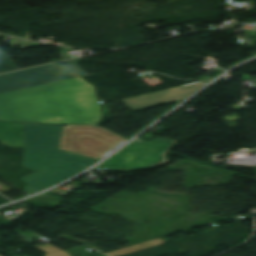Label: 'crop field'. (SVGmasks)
I'll list each match as a JSON object with an SVG mask.
<instances>
[{
    "mask_svg": "<svg viewBox=\"0 0 256 256\" xmlns=\"http://www.w3.org/2000/svg\"><path fill=\"white\" fill-rule=\"evenodd\" d=\"M175 143L165 139H155L149 142L136 139L98 167L144 169L165 162L164 154Z\"/></svg>",
    "mask_w": 256,
    "mask_h": 256,
    "instance_id": "crop-field-4",
    "label": "crop field"
},
{
    "mask_svg": "<svg viewBox=\"0 0 256 256\" xmlns=\"http://www.w3.org/2000/svg\"><path fill=\"white\" fill-rule=\"evenodd\" d=\"M88 73L76 62L56 66L54 64L0 75V93L22 88L80 77Z\"/></svg>",
    "mask_w": 256,
    "mask_h": 256,
    "instance_id": "crop-field-5",
    "label": "crop field"
},
{
    "mask_svg": "<svg viewBox=\"0 0 256 256\" xmlns=\"http://www.w3.org/2000/svg\"><path fill=\"white\" fill-rule=\"evenodd\" d=\"M63 127L64 125H24V155L21 166L38 171L20 179L28 184L24 190L27 194L53 186L97 161L58 149Z\"/></svg>",
    "mask_w": 256,
    "mask_h": 256,
    "instance_id": "crop-field-2",
    "label": "crop field"
},
{
    "mask_svg": "<svg viewBox=\"0 0 256 256\" xmlns=\"http://www.w3.org/2000/svg\"><path fill=\"white\" fill-rule=\"evenodd\" d=\"M201 83L195 82L163 91L136 96L122 100L133 111L149 108L152 106L182 100L200 89Z\"/></svg>",
    "mask_w": 256,
    "mask_h": 256,
    "instance_id": "crop-field-6",
    "label": "crop field"
},
{
    "mask_svg": "<svg viewBox=\"0 0 256 256\" xmlns=\"http://www.w3.org/2000/svg\"><path fill=\"white\" fill-rule=\"evenodd\" d=\"M16 67L9 58L7 53H3L0 49V73L15 70Z\"/></svg>",
    "mask_w": 256,
    "mask_h": 256,
    "instance_id": "crop-field-8",
    "label": "crop field"
},
{
    "mask_svg": "<svg viewBox=\"0 0 256 256\" xmlns=\"http://www.w3.org/2000/svg\"><path fill=\"white\" fill-rule=\"evenodd\" d=\"M0 143L12 148H23V124L0 122Z\"/></svg>",
    "mask_w": 256,
    "mask_h": 256,
    "instance_id": "crop-field-7",
    "label": "crop field"
},
{
    "mask_svg": "<svg viewBox=\"0 0 256 256\" xmlns=\"http://www.w3.org/2000/svg\"><path fill=\"white\" fill-rule=\"evenodd\" d=\"M127 140L99 126L65 125L59 148L99 160Z\"/></svg>",
    "mask_w": 256,
    "mask_h": 256,
    "instance_id": "crop-field-3",
    "label": "crop field"
},
{
    "mask_svg": "<svg viewBox=\"0 0 256 256\" xmlns=\"http://www.w3.org/2000/svg\"><path fill=\"white\" fill-rule=\"evenodd\" d=\"M87 246L81 245L73 248L66 249L64 251L68 252L71 256H94L97 254H101L99 252L91 253L90 251L86 250Z\"/></svg>",
    "mask_w": 256,
    "mask_h": 256,
    "instance_id": "crop-field-9",
    "label": "crop field"
},
{
    "mask_svg": "<svg viewBox=\"0 0 256 256\" xmlns=\"http://www.w3.org/2000/svg\"><path fill=\"white\" fill-rule=\"evenodd\" d=\"M0 120L97 125L101 108L82 77L0 94Z\"/></svg>",
    "mask_w": 256,
    "mask_h": 256,
    "instance_id": "crop-field-1",
    "label": "crop field"
},
{
    "mask_svg": "<svg viewBox=\"0 0 256 256\" xmlns=\"http://www.w3.org/2000/svg\"><path fill=\"white\" fill-rule=\"evenodd\" d=\"M102 256H105V255H102Z\"/></svg>",
    "mask_w": 256,
    "mask_h": 256,
    "instance_id": "crop-field-10",
    "label": "crop field"
}]
</instances>
